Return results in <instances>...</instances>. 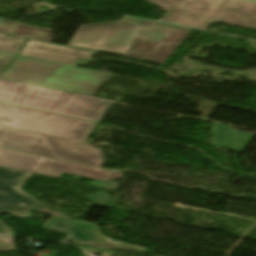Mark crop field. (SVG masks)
I'll return each instance as SVG.
<instances>
[{
	"label": "crop field",
	"mask_w": 256,
	"mask_h": 256,
	"mask_svg": "<svg viewBox=\"0 0 256 256\" xmlns=\"http://www.w3.org/2000/svg\"><path fill=\"white\" fill-rule=\"evenodd\" d=\"M16 35L51 42V30L35 26L22 24Z\"/></svg>",
	"instance_id": "crop-field-12"
},
{
	"label": "crop field",
	"mask_w": 256,
	"mask_h": 256,
	"mask_svg": "<svg viewBox=\"0 0 256 256\" xmlns=\"http://www.w3.org/2000/svg\"><path fill=\"white\" fill-rule=\"evenodd\" d=\"M232 126L214 123L210 128L214 133L213 145L242 151L253 134L232 130ZM237 135L236 137L234 135Z\"/></svg>",
	"instance_id": "crop-field-11"
},
{
	"label": "crop field",
	"mask_w": 256,
	"mask_h": 256,
	"mask_svg": "<svg viewBox=\"0 0 256 256\" xmlns=\"http://www.w3.org/2000/svg\"><path fill=\"white\" fill-rule=\"evenodd\" d=\"M21 24L0 21V32L15 35Z\"/></svg>",
	"instance_id": "crop-field-15"
},
{
	"label": "crop field",
	"mask_w": 256,
	"mask_h": 256,
	"mask_svg": "<svg viewBox=\"0 0 256 256\" xmlns=\"http://www.w3.org/2000/svg\"><path fill=\"white\" fill-rule=\"evenodd\" d=\"M166 11L161 22L207 30L219 22L256 30V2L247 0H146Z\"/></svg>",
	"instance_id": "crop-field-2"
},
{
	"label": "crop field",
	"mask_w": 256,
	"mask_h": 256,
	"mask_svg": "<svg viewBox=\"0 0 256 256\" xmlns=\"http://www.w3.org/2000/svg\"><path fill=\"white\" fill-rule=\"evenodd\" d=\"M24 40L0 34V51L18 54Z\"/></svg>",
	"instance_id": "crop-field-13"
},
{
	"label": "crop field",
	"mask_w": 256,
	"mask_h": 256,
	"mask_svg": "<svg viewBox=\"0 0 256 256\" xmlns=\"http://www.w3.org/2000/svg\"><path fill=\"white\" fill-rule=\"evenodd\" d=\"M0 147L100 168L104 160L94 146L0 126Z\"/></svg>",
	"instance_id": "crop-field-5"
},
{
	"label": "crop field",
	"mask_w": 256,
	"mask_h": 256,
	"mask_svg": "<svg viewBox=\"0 0 256 256\" xmlns=\"http://www.w3.org/2000/svg\"><path fill=\"white\" fill-rule=\"evenodd\" d=\"M33 174L0 167V214L7 212L11 215L30 219L31 209L54 214L44 225L45 228L66 233L68 236L62 241L69 240L75 244L127 250L148 253L145 248L116 244L101 234L96 225L66 219L65 214L50 211L30 195L16 187L24 185ZM0 234L15 236V233L0 221Z\"/></svg>",
	"instance_id": "crop-field-1"
},
{
	"label": "crop field",
	"mask_w": 256,
	"mask_h": 256,
	"mask_svg": "<svg viewBox=\"0 0 256 256\" xmlns=\"http://www.w3.org/2000/svg\"><path fill=\"white\" fill-rule=\"evenodd\" d=\"M97 194L99 195V197H97ZM85 198L92 201V204L115 207V202L112 196L105 192L96 193L94 195H86Z\"/></svg>",
	"instance_id": "crop-field-14"
},
{
	"label": "crop field",
	"mask_w": 256,
	"mask_h": 256,
	"mask_svg": "<svg viewBox=\"0 0 256 256\" xmlns=\"http://www.w3.org/2000/svg\"><path fill=\"white\" fill-rule=\"evenodd\" d=\"M140 26L125 21L79 26L68 45L124 55Z\"/></svg>",
	"instance_id": "crop-field-8"
},
{
	"label": "crop field",
	"mask_w": 256,
	"mask_h": 256,
	"mask_svg": "<svg viewBox=\"0 0 256 256\" xmlns=\"http://www.w3.org/2000/svg\"><path fill=\"white\" fill-rule=\"evenodd\" d=\"M14 55L0 53V71L14 58Z\"/></svg>",
	"instance_id": "crop-field-16"
},
{
	"label": "crop field",
	"mask_w": 256,
	"mask_h": 256,
	"mask_svg": "<svg viewBox=\"0 0 256 256\" xmlns=\"http://www.w3.org/2000/svg\"><path fill=\"white\" fill-rule=\"evenodd\" d=\"M128 17V16H127ZM124 17L122 20L143 23L125 56L163 64L190 28Z\"/></svg>",
	"instance_id": "crop-field-7"
},
{
	"label": "crop field",
	"mask_w": 256,
	"mask_h": 256,
	"mask_svg": "<svg viewBox=\"0 0 256 256\" xmlns=\"http://www.w3.org/2000/svg\"><path fill=\"white\" fill-rule=\"evenodd\" d=\"M111 77L106 73L17 56L0 78L93 96Z\"/></svg>",
	"instance_id": "crop-field-3"
},
{
	"label": "crop field",
	"mask_w": 256,
	"mask_h": 256,
	"mask_svg": "<svg viewBox=\"0 0 256 256\" xmlns=\"http://www.w3.org/2000/svg\"><path fill=\"white\" fill-rule=\"evenodd\" d=\"M0 125L84 142L97 123L0 104Z\"/></svg>",
	"instance_id": "crop-field-6"
},
{
	"label": "crop field",
	"mask_w": 256,
	"mask_h": 256,
	"mask_svg": "<svg viewBox=\"0 0 256 256\" xmlns=\"http://www.w3.org/2000/svg\"><path fill=\"white\" fill-rule=\"evenodd\" d=\"M0 102L100 122L111 102L0 80Z\"/></svg>",
	"instance_id": "crop-field-4"
},
{
	"label": "crop field",
	"mask_w": 256,
	"mask_h": 256,
	"mask_svg": "<svg viewBox=\"0 0 256 256\" xmlns=\"http://www.w3.org/2000/svg\"><path fill=\"white\" fill-rule=\"evenodd\" d=\"M0 165L59 177L63 172L106 181L111 172L0 148Z\"/></svg>",
	"instance_id": "crop-field-9"
},
{
	"label": "crop field",
	"mask_w": 256,
	"mask_h": 256,
	"mask_svg": "<svg viewBox=\"0 0 256 256\" xmlns=\"http://www.w3.org/2000/svg\"><path fill=\"white\" fill-rule=\"evenodd\" d=\"M20 54L66 64H75L79 59L91 60L94 52L27 39Z\"/></svg>",
	"instance_id": "crop-field-10"
}]
</instances>
